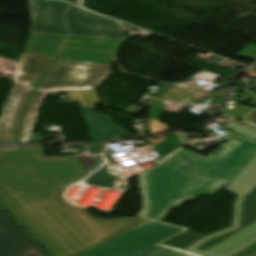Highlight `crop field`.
I'll return each mask as SVG.
<instances>
[{
  "label": "crop field",
  "mask_w": 256,
  "mask_h": 256,
  "mask_svg": "<svg viewBox=\"0 0 256 256\" xmlns=\"http://www.w3.org/2000/svg\"><path fill=\"white\" fill-rule=\"evenodd\" d=\"M75 156L44 157L41 146L0 148V202L50 256H76L144 221L102 220L58 200L64 188L97 169Z\"/></svg>",
  "instance_id": "obj_1"
},
{
  "label": "crop field",
  "mask_w": 256,
  "mask_h": 256,
  "mask_svg": "<svg viewBox=\"0 0 256 256\" xmlns=\"http://www.w3.org/2000/svg\"><path fill=\"white\" fill-rule=\"evenodd\" d=\"M207 159L178 150L143 173L141 184L146 205L142 216L163 221L171 208L214 196L256 154V141L237 133Z\"/></svg>",
  "instance_id": "obj_2"
},
{
  "label": "crop field",
  "mask_w": 256,
  "mask_h": 256,
  "mask_svg": "<svg viewBox=\"0 0 256 256\" xmlns=\"http://www.w3.org/2000/svg\"><path fill=\"white\" fill-rule=\"evenodd\" d=\"M225 190L238 195L232 227L209 236L185 231L164 244L204 256H234L256 242V155Z\"/></svg>",
  "instance_id": "obj_3"
},
{
  "label": "crop field",
  "mask_w": 256,
  "mask_h": 256,
  "mask_svg": "<svg viewBox=\"0 0 256 256\" xmlns=\"http://www.w3.org/2000/svg\"><path fill=\"white\" fill-rule=\"evenodd\" d=\"M54 60L51 57L21 54L15 82L0 117V141H16L22 112Z\"/></svg>",
  "instance_id": "obj_4"
},
{
  "label": "crop field",
  "mask_w": 256,
  "mask_h": 256,
  "mask_svg": "<svg viewBox=\"0 0 256 256\" xmlns=\"http://www.w3.org/2000/svg\"><path fill=\"white\" fill-rule=\"evenodd\" d=\"M184 229L146 221L78 256H131Z\"/></svg>",
  "instance_id": "obj_5"
},
{
  "label": "crop field",
  "mask_w": 256,
  "mask_h": 256,
  "mask_svg": "<svg viewBox=\"0 0 256 256\" xmlns=\"http://www.w3.org/2000/svg\"><path fill=\"white\" fill-rule=\"evenodd\" d=\"M65 20L69 29L68 35L125 40L117 20L91 11L72 5L65 14Z\"/></svg>",
  "instance_id": "obj_6"
},
{
  "label": "crop field",
  "mask_w": 256,
  "mask_h": 256,
  "mask_svg": "<svg viewBox=\"0 0 256 256\" xmlns=\"http://www.w3.org/2000/svg\"><path fill=\"white\" fill-rule=\"evenodd\" d=\"M112 65L57 58L45 79L83 83L80 90H93Z\"/></svg>",
  "instance_id": "obj_7"
},
{
  "label": "crop field",
  "mask_w": 256,
  "mask_h": 256,
  "mask_svg": "<svg viewBox=\"0 0 256 256\" xmlns=\"http://www.w3.org/2000/svg\"><path fill=\"white\" fill-rule=\"evenodd\" d=\"M67 40H81L84 43H70ZM123 40L68 36L59 57L113 64Z\"/></svg>",
  "instance_id": "obj_8"
},
{
  "label": "crop field",
  "mask_w": 256,
  "mask_h": 256,
  "mask_svg": "<svg viewBox=\"0 0 256 256\" xmlns=\"http://www.w3.org/2000/svg\"><path fill=\"white\" fill-rule=\"evenodd\" d=\"M4 211L0 207V256H48Z\"/></svg>",
  "instance_id": "obj_9"
},
{
  "label": "crop field",
  "mask_w": 256,
  "mask_h": 256,
  "mask_svg": "<svg viewBox=\"0 0 256 256\" xmlns=\"http://www.w3.org/2000/svg\"><path fill=\"white\" fill-rule=\"evenodd\" d=\"M32 16L31 32L66 35L63 14L70 4L57 0H28Z\"/></svg>",
  "instance_id": "obj_10"
},
{
  "label": "crop field",
  "mask_w": 256,
  "mask_h": 256,
  "mask_svg": "<svg viewBox=\"0 0 256 256\" xmlns=\"http://www.w3.org/2000/svg\"><path fill=\"white\" fill-rule=\"evenodd\" d=\"M81 110L93 142L112 141L133 136L121 125L114 124L111 116L84 107H81Z\"/></svg>",
  "instance_id": "obj_11"
},
{
  "label": "crop field",
  "mask_w": 256,
  "mask_h": 256,
  "mask_svg": "<svg viewBox=\"0 0 256 256\" xmlns=\"http://www.w3.org/2000/svg\"><path fill=\"white\" fill-rule=\"evenodd\" d=\"M81 84L43 80L38 90L34 93L23 117L19 141H29L32 127L34 125L37 110L43 99L50 91H75L79 90Z\"/></svg>",
  "instance_id": "obj_12"
},
{
  "label": "crop field",
  "mask_w": 256,
  "mask_h": 256,
  "mask_svg": "<svg viewBox=\"0 0 256 256\" xmlns=\"http://www.w3.org/2000/svg\"><path fill=\"white\" fill-rule=\"evenodd\" d=\"M66 36L31 33L25 53L56 57Z\"/></svg>",
  "instance_id": "obj_13"
},
{
  "label": "crop field",
  "mask_w": 256,
  "mask_h": 256,
  "mask_svg": "<svg viewBox=\"0 0 256 256\" xmlns=\"http://www.w3.org/2000/svg\"><path fill=\"white\" fill-rule=\"evenodd\" d=\"M133 256H200L180 249H176L163 244H156Z\"/></svg>",
  "instance_id": "obj_14"
},
{
  "label": "crop field",
  "mask_w": 256,
  "mask_h": 256,
  "mask_svg": "<svg viewBox=\"0 0 256 256\" xmlns=\"http://www.w3.org/2000/svg\"><path fill=\"white\" fill-rule=\"evenodd\" d=\"M70 100H62L63 102L79 101L81 106L95 109L94 103L101 104L97 92H74L69 93Z\"/></svg>",
  "instance_id": "obj_15"
},
{
  "label": "crop field",
  "mask_w": 256,
  "mask_h": 256,
  "mask_svg": "<svg viewBox=\"0 0 256 256\" xmlns=\"http://www.w3.org/2000/svg\"><path fill=\"white\" fill-rule=\"evenodd\" d=\"M85 182L89 185L103 187V188L123 189L125 187V183L109 182L104 177H102L98 172L91 175Z\"/></svg>",
  "instance_id": "obj_16"
},
{
  "label": "crop field",
  "mask_w": 256,
  "mask_h": 256,
  "mask_svg": "<svg viewBox=\"0 0 256 256\" xmlns=\"http://www.w3.org/2000/svg\"><path fill=\"white\" fill-rule=\"evenodd\" d=\"M190 94L191 92L189 91H184V90L172 87L166 93H164L161 97H159V99H163V100H167L175 103H178L180 101L186 102L191 99L188 97Z\"/></svg>",
  "instance_id": "obj_17"
},
{
  "label": "crop field",
  "mask_w": 256,
  "mask_h": 256,
  "mask_svg": "<svg viewBox=\"0 0 256 256\" xmlns=\"http://www.w3.org/2000/svg\"><path fill=\"white\" fill-rule=\"evenodd\" d=\"M161 102L156 100L148 106L150 122H158L159 116L163 113L166 106L161 105Z\"/></svg>",
  "instance_id": "obj_18"
},
{
  "label": "crop field",
  "mask_w": 256,
  "mask_h": 256,
  "mask_svg": "<svg viewBox=\"0 0 256 256\" xmlns=\"http://www.w3.org/2000/svg\"><path fill=\"white\" fill-rule=\"evenodd\" d=\"M101 175H103L107 180L112 182H123L122 179L117 175V173L113 170L110 164L105 165L103 168L98 171Z\"/></svg>",
  "instance_id": "obj_19"
},
{
  "label": "crop field",
  "mask_w": 256,
  "mask_h": 256,
  "mask_svg": "<svg viewBox=\"0 0 256 256\" xmlns=\"http://www.w3.org/2000/svg\"><path fill=\"white\" fill-rule=\"evenodd\" d=\"M237 56L256 60V45L250 44Z\"/></svg>",
  "instance_id": "obj_20"
},
{
  "label": "crop field",
  "mask_w": 256,
  "mask_h": 256,
  "mask_svg": "<svg viewBox=\"0 0 256 256\" xmlns=\"http://www.w3.org/2000/svg\"><path fill=\"white\" fill-rule=\"evenodd\" d=\"M253 109H255V108L242 107L237 112L236 111H232V110H226V109H222L221 112L225 113L227 115L234 116V117L238 118L240 116L241 117L244 116L245 114H247L248 112L252 111Z\"/></svg>",
  "instance_id": "obj_21"
},
{
  "label": "crop field",
  "mask_w": 256,
  "mask_h": 256,
  "mask_svg": "<svg viewBox=\"0 0 256 256\" xmlns=\"http://www.w3.org/2000/svg\"><path fill=\"white\" fill-rule=\"evenodd\" d=\"M238 133H241L243 135H246V136L256 139V127L251 124H248L247 126H245Z\"/></svg>",
  "instance_id": "obj_22"
},
{
  "label": "crop field",
  "mask_w": 256,
  "mask_h": 256,
  "mask_svg": "<svg viewBox=\"0 0 256 256\" xmlns=\"http://www.w3.org/2000/svg\"><path fill=\"white\" fill-rule=\"evenodd\" d=\"M89 154L102 153L104 150V144L88 146Z\"/></svg>",
  "instance_id": "obj_23"
},
{
  "label": "crop field",
  "mask_w": 256,
  "mask_h": 256,
  "mask_svg": "<svg viewBox=\"0 0 256 256\" xmlns=\"http://www.w3.org/2000/svg\"><path fill=\"white\" fill-rule=\"evenodd\" d=\"M242 120H246L249 122L256 123V109L250 112L249 114L245 115Z\"/></svg>",
  "instance_id": "obj_24"
},
{
  "label": "crop field",
  "mask_w": 256,
  "mask_h": 256,
  "mask_svg": "<svg viewBox=\"0 0 256 256\" xmlns=\"http://www.w3.org/2000/svg\"><path fill=\"white\" fill-rule=\"evenodd\" d=\"M234 122L239 123V122L233 120L226 127H228L230 130H233L235 132H237L238 130H240L242 127H244L246 125V124H244V125L240 126V125H238V124H236Z\"/></svg>",
  "instance_id": "obj_25"
},
{
  "label": "crop field",
  "mask_w": 256,
  "mask_h": 256,
  "mask_svg": "<svg viewBox=\"0 0 256 256\" xmlns=\"http://www.w3.org/2000/svg\"><path fill=\"white\" fill-rule=\"evenodd\" d=\"M67 1L82 7V1L81 0H67Z\"/></svg>",
  "instance_id": "obj_26"
},
{
  "label": "crop field",
  "mask_w": 256,
  "mask_h": 256,
  "mask_svg": "<svg viewBox=\"0 0 256 256\" xmlns=\"http://www.w3.org/2000/svg\"><path fill=\"white\" fill-rule=\"evenodd\" d=\"M243 256H256V248Z\"/></svg>",
  "instance_id": "obj_27"
},
{
  "label": "crop field",
  "mask_w": 256,
  "mask_h": 256,
  "mask_svg": "<svg viewBox=\"0 0 256 256\" xmlns=\"http://www.w3.org/2000/svg\"><path fill=\"white\" fill-rule=\"evenodd\" d=\"M248 106L256 107V97L248 104Z\"/></svg>",
  "instance_id": "obj_28"
},
{
  "label": "crop field",
  "mask_w": 256,
  "mask_h": 256,
  "mask_svg": "<svg viewBox=\"0 0 256 256\" xmlns=\"http://www.w3.org/2000/svg\"><path fill=\"white\" fill-rule=\"evenodd\" d=\"M13 143H16V142H0V145L13 144Z\"/></svg>",
  "instance_id": "obj_29"
},
{
  "label": "crop field",
  "mask_w": 256,
  "mask_h": 256,
  "mask_svg": "<svg viewBox=\"0 0 256 256\" xmlns=\"http://www.w3.org/2000/svg\"><path fill=\"white\" fill-rule=\"evenodd\" d=\"M250 88L256 89V83L252 87H250Z\"/></svg>",
  "instance_id": "obj_30"
}]
</instances>
